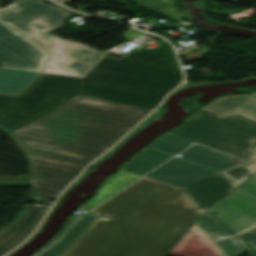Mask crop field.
<instances>
[{
	"label": "crop field",
	"mask_w": 256,
	"mask_h": 256,
	"mask_svg": "<svg viewBox=\"0 0 256 256\" xmlns=\"http://www.w3.org/2000/svg\"><path fill=\"white\" fill-rule=\"evenodd\" d=\"M181 81L165 41L123 60L102 57L83 78L42 73L18 96L0 95V130L12 135L78 95L153 110Z\"/></svg>",
	"instance_id": "8a807250"
},
{
	"label": "crop field",
	"mask_w": 256,
	"mask_h": 256,
	"mask_svg": "<svg viewBox=\"0 0 256 256\" xmlns=\"http://www.w3.org/2000/svg\"><path fill=\"white\" fill-rule=\"evenodd\" d=\"M149 112L78 96L11 138L29 160L32 189L59 194Z\"/></svg>",
	"instance_id": "ac0d7876"
},
{
	"label": "crop field",
	"mask_w": 256,
	"mask_h": 256,
	"mask_svg": "<svg viewBox=\"0 0 256 256\" xmlns=\"http://www.w3.org/2000/svg\"><path fill=\"white\" fill-rule=\"evenodd\" d=\"M97 219L64 256H165L199 216L182 188L143 177L96 208Z\"/></svg>",
	"instance_id": "34b2d1b8"
},
{
	"label": "crop field",
	"mask_w": 256,
	"mask_h": 256,
	"mask_svg": "<svg viewBox=\"0 0 256 256\" xmlns=\"http://www.w3.org/2000/svg\"><path fill=\"white\" fill-rule=\"evenodd\" d=\"M13 3L11 7L0 9V18L52 53L44 71L78 76L93 64L99 51L47 33L63 25L71 16L66 10L34 0H15ZM43 34L51 37L41 38Z\"/></svg>",
	"instance_id": "412701ff"
},
{
	"label": "crop field",
	"mask_w": 256,
	"mask_h": 256,
	"mask_svg": "<svg viewBox=\"0 0 256 256\" xmlns=\"http://www.w3.org/2000/svg\"><path fill=\"white\" fill-rule=\"evenodd\" d=\"M246 161L256 160V123L239 115L220 120L199 111L179 127L167 132Z\"/></svg>",
	"instance_id": "f4fd0767"
},
{
	"label": "crop field",
	"mask_w": 256,
	"mask_h": 256,
	"mask_svg": "<svg viewBox=\"0 0 256 256\" xmlns=\"http://www.w3.org/2000/svg\"><path fill=\"white\" fill-rule=\"evenodd\" d=\"M47 55L0 21V66L41 71Z\"/></svg>",
	"instance_id": "dd49c442"
},
{
	"label": "crop field",
	"mask_w": 256,
	"mask_h": 256,
	"mask_svg": "<svg viewBox=\"0 0 256 256\" xmlns=\"http://www.w3.org/2000/svg\"><path fill=\"white\" fill-rule=\"evenodd\" d=\"M210 210L237 234L256 224V195L237 186Z\"/></svg>",
	"instance_id": "e52e79f7"
},
{
	"label": "crop field",
	"mask_w": 256,
	"mask_h": 256,
	"mask_svg": "<svg viewBox=\"0 0 256 256\" xmlns=\"http://www.w3.org/2000/svg\"><path fill=\"white\" fill-rule=\"evenodd\" d=\"M193 221L216 256H240L245 253L233 234L210 211Z\"/></svg>",
	"instance_id": "d8731c3e"
},
{
	"label": "crop field",
	"mask_w": 256,
	"mask_h": 256,
	"mask_svg": "<svg viewBox=\"0 0 256 256\" xmlns=\"http://www.w3.org/2000/svg\"><path fill=\"white\" fill-rule=\"evenodd\" d=\"M236 186L237 185L218 173L182 188L200 215Z\"/></svg>",
	"instance_id": "5a996713"
},
{
	"label": "crop field",
	"mask_w": 256,
	"mask_h": 256,
	"mask_svg": "<svg viewBox=\"0 0 256 256\" xmlns=\"http://www.w3.org/2000/svg\"><path fill=\"white\" fill-rule=\"evenodd\" d=\"M47 210L48 208L26 205L14 223L1 229L0 256L28 237Z\"/></svg>",
	"instance_id": "3316defc"
},
{
	"label": "crop field",
	"mask_w": 256,
	"mask_h": 256,
	"mask_svg": "<svg viewBox=\"0 0 256 256\" xmlns=\"http://www.w3.org/2000/svg\"><path fill=\"white\" fill-rule=\"evenodd\" d=\"M214 173L218 172L174 158L145 177L180 187Z\"/></svg>",
	"instance_id": "28ad6ade"
},
{
	"label": "crop field",
	"mask_w": 256,
	"mask_h": 256,
	"mask_svg": "<svg viewBox=\"0 0 256 256\" xmlns=\"http://www.w3.org/2000/svg\"><path fill=\"white\" fill-rule=\"evenodd\" d=\"M200 110L220 118L239 114L256 122V97L250 95L225 96L214 100Z\"/></svg>",
	"instance_id": "d1516ede"
},
{
	"label": "crop field",
	"mask_w": 256,
	"mask_h": 256,
	"mask_svg": "<svg viewBox=\"0 0 256 256\" xmlns=\"http://www.w3.org/2000/svg\"><path fill=\"white\" fill-rule=\"evenodd\" d=\"M180 155H182L181 158L218 171H223L240 164L239 162L231 160V157L221 155L199 145H194Z\"/></svg>",
	"instance_id": "22f410ed"
},
{
	"label": "crop field",
	"mask_w": 256,
	"mask_h": 256,
	"mask_svg": "<svg viewBox=\"0 0 256 256\" xmlns=\"http://www.w3.org/2000/svg\"><path fill=\"white\" fill-rule=\"evenodd\" d=\"M139 177H141V175L119 169L115 175L101 185L96 191V194L81 206V208L87 210L92 209Z\"/></svg>",
	"instance_id": "cbeb9de0"
},
{
	"label": "crop field",
	"mask_w": 256,
	"mask_h": 256,
	"mask_svg": "<svg viewBox=\"0 0 256 256\" xmlns=\"http://www.w3.org/2000/svg\"><path fill=\"white\" fill-rule=\"evenodd\" d=\"M99 216L100 214L90 212L80 218L66 235L40 256H63Z\"/></svg>",
	"instance_id": "5142ce71"
},
{
	"label": "crop field",
	"mask_w": 256,
	"mask_h": 256,
	"mask_svg": "<svg viewBox=\"0 0 256 256\" xmlns=\"http://www.w3.org/2000/svg\"><path fill=\"white\" fill-rule=\"evenodd\" d=\"M169 254L176 256H215L195 225L188 230Z\"/></svg>",
	"instance_id": "d9b57169"
},
{
	"label": "crop field",
	"mask_w": 256,
	"mask_h": 256,
	"mask_svg": "<svg viewBox=\"0 0 256 256\" xmlns=\"http://www.w3.org/2000/svg\"><path fill=\"white\" fill-rule=\"evenodd\" d=\"M170 157L171 156L167 154L146 147L124 164L121 169L143 175L159 166Z\"/></svg>",
	"instance_id": "733c2abd"
},
{
	"label": "crop field",
	"mask_w": 256,
	"mask_h": 256,
	"mask_svg": "<svg viewBox=\"0 0 256 256\" xmlns=\"http://www.w3.org/2000/svg\"><path fill=\"white\" fill-rule=\"evenodd\" d=\"M39 74L0 68V93L16 94L26 88Z\"/></svg>",
	"instance_id": "4a817a6b"
},
{
	"label": "crop field",
	"mask_w": 256,
	"mask_h": 256,
	"mask_svg": "<svg viewBox=\"0 0 256 256\" xmlns=\"http://www.w3.org/2000/svg\"><path fill=\"white\" fill-rule=\"evenodd\" d=\"M191 144L192 143H190L188 141L182 140L173 135H169V134L165 133L163 136H161L160 138L155 140L149 146L153 147L157 150L174 155V154L186 149Z\"/></svg>",
	"instance_id": "bc2a9ffb"
},
{
	"label": "crop field",
	"mask_w": 256,
	"mask_h": 256,
	"mask_svg": "<svg viewBox=\"0 0 256 256\" xmlns=\"http://www.w3.org/2000/svg\"><path fill=\"white\" fill-rule=\"evenodd\" d=\"M144 1V2H142ZM134 3L147 8L152 11H156L167 16L173 24L180 23L181 21L176 17V15L168 7L166 0H135ZM175 19V20H173Z\"/></svg>",
	"instance_id": "214f88e0"
},
{
	"label": "crop field",
	"mask_w": 256,
	"mask_h": 256,
	"mask_svg": "<svg viewBox=\"0 0 256 256\" xmlns=\"http://www.w3.org/2000/svg\"><path fill=\"white\" fill-rule=\"evenodd\" d=\"M255 172V170L245 165H239L237 167L225 170L222 173L239 185L241 182H243Z\"/></svg>",
	"instance_id": "92a150f3"
},
{
	"label": "crop field",
	"mask_w": 256,
	"mask_h": 256,
	"mask_svg": "<svg viewBox=\"0 0 256 256\" xmlns=\"http://www.w3.org/2000/svg\"><path fill=\"white\" fill-rule=\"evenodd\" d=\"M235 237L251 256H256V226Z\"/></svg>",
	"instance_id": "dafd665d"
},
{
	"label": "crop field",
	"mask_w": 256,
	"mask_h": 256,
	"mask_svg": "<svg viewBox=\"0 0 256 256\" xmlns=\"http://www.w3.org/2000/svg\"><path fill=\"white\" fill-rule=\"evenodd\" d=\"M79 216H76L75 218H71L70 221L65 225L63 230L50 242L48 243L45 247H43L41 250L33 254L32 256H36L39 253H41L44 249H46L50 244H52L56 239H58L72 224L73 222L78 218ZM57 241V240H56ZM51 246V245H50Z\"/></svg>",
	"instance_id": "00972430"
},
{
	"label": "crop field",
	"mask_w": 256,
	"mask_h": 256,
	"mask_svg": "<svg viewBox=\"0 0 256 256\" xmlns=\"http://www.w3.org/2000/svg\"><path fill=\"white\" fill-rule=\"evenodd\" d=\"M240 185L256 193V173Z\"/></svg>",
	"instance_id": "a9b5d70f"
},
{
	"label": "crop field",
	"mask_w": 256,
	"mask_h": 256,
	"mask_svg": "<svg viewBox=\"0 0 256 256\" xmlns=\"http://www.w3.org/2000/svg\"><path fill=\"white\" fill-rule=\"evenodd\" d=\"M31 195L36 197L49 198V199H56L57 197L56 194H50V193L34 191V190L31 191Z\"/></svg>",
	"instance_id": "4177f3b9"
},
{
	"label": "crop field",
	"mask_w": 256,
	"mask_h": 256,
	"mask_svg": "<svg viewBox=\"0 0 256 256\" xmlns=\"http://www.w3.org/2000/svg\"><path fill=\"white\" fill-rule=\"evenodd\" d=\"M168 4L170 6V8L173 10V12L178 16V18L183 22V19L181 18L180 14L178 13V11L176 10V8L173 5V2L171 0H168Z\"/></svg>",
	"instance_id": "730fd06b"
},
{
	"label": "crop field",
	"mask_w": 256,
	"mask_h": 256,
	"mask_svg": "<svg viewBox=\"0 0 256 256\" xmlns=\"http://www.w3.org/2000/svg\"><path fill=\"white\" fill-rule=\"evenodd\" d=\"M251 167H254V168H256V162L251 166Z\"/></svg>",
	"instance_id": "eef30255"
},
{
	"label": "crop field",
	"mask_w": 256,
	"mask_h": 256,
	"mask_svg": "<svg viewBox=\"0 0 256 256\" xmlns=\"http://www.w3.org/2000/svg\"><path fill=\"white\" fill-rule=\"evenodd\" d=\"M254 96H256V93H253Z\"/></svg>",
	"instance_id": "ae1a2a85"
},
{
	"label": "crop field",
	"mask_w": 256,
	"mask_h": 256,
	"mask_svg": "<svg viewBox=\"0 0 256 256\" xmlns=\"http://www.w3.org/2000/svg\"><path fill=\"white\" fill-rule=\"evenodd\" d=\"M256 150V149H255Z\"/></svg>",
	"instance_id": "d3111659"
}]
</instances>
